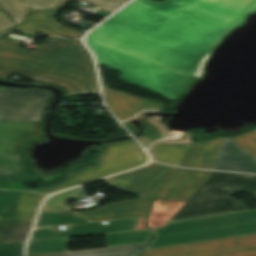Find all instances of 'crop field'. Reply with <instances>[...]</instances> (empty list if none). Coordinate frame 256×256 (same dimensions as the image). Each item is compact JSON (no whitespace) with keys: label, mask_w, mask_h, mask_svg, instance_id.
I'll list each match as a JSON object with an SVG mask.
<instances>
[{"label":"crop field","mask_w":256,"mask_h":256,"mask_svg":"<svg viewBox=\"0 0 256 256\" xmlns=\"http://www.w3.org/2000/svg\"><path fill=\"white\" fill-rule=\"evenodd\" d=\"M256 0H135L89 36L194 76L211 42Z\"/></svg>","instance_id":"crop-field-1"},{"label":"crop field","mask_w":256,"mask_h":256,"mask_svg":"<svg viewBox=\"0 0 256 256\" xmlns=\"http://www.w3.org/2000/svg\"><path fill=\"white\" fill-rule=\"evenodd\" d=\"M36 51L0 37V78L14 74L69 89V95L100 94L91 54L80 41L48 37Z\"/></svg>","instance_id":"crop-field-2"},{"label":"crop field","mask_w":256,"mask_h":256,"mask_svg":"<svg viewBox=\"0 0 256 256\" xmlns=\"http://www.w3.org/2000/svg\"><path fill=\"white\" fill-rule=\"evenodd\" d=\"M98 63L121 71L120 79L172 99L179 96L192 76L138 56L118 47L87 37Z\"/></svg>","instance_id":"crop-field-3"},{"label":"crop field","mask_w":256,"mask_h":256,"mask_svg":"<svg viewBox=\"0 0 256 256\" xmlns=\"http://www.w3.org/2000/svg\"><path fill=\"white\" fill-rule=\"evenodd\" d=\"M175 169L151 163L147 167L105 179L111 186L140 194L141 199L111 203L101 209L75 212V214L85 216L88 222L147 216L148 205L152 203L156 189Z\"/></svg>","instance_id":"crop-field-4"},{"label":"crop field","mask_w":256,"mask_h":256,"mask_svg":"<svg viewBox=\"0 0 256 256\" xmlns=\"http://www.w3.org/2000/svg\"><path fill=\"white\" fill-rule=\"evenodd\" d=\"M239 192L256 199V176L213 172L169 222L246 210L244 205L229 198Z\"/></svg>","instance_id":"crop-field-5"},{"label":"crop field","mask_w":256,"mask_h":256,"mask_svg":"<svg viewBox=\"0 0 256 256\" xmlns=\"http://www.w3.org/2000/svg\"><path fill=\"white\" fill-rule=\"evenodd\" d=\"M103 153L91 164L72 169L52 186L39 190L41 193H52L100 177H106L132 168L148 161V156L135 142L128 140L98 147Z\"/></svg>","instance_id":"crop-field-6"},{"label":"crop field","mask_w":256,"mask_h":256,"mask_svg":"<svg viewBox=\"0 0 256 256\" xmlns=\"http://www.w3.org/2000/svg\"><path fill=\"white\" fill-rule=\"evenodd\" d=\"M41 136L42 122L0 121V181L34 183L29 178L23 148Z\"/></svg>","instance_id":"crop-field-7"},{"label":"crop field","mask_w":256,"mask_h":256,"mask_svg":"<svg viewBox=\"0 0 256 256\" xmlns=\"http://www.w3.org/2000/svg\"><path fill=\"white\" fill-rule=\"evenodd\" d=\"M256 233V210L191 220V243Z\"/></svg>","instance_id":"crop-field-8"},{"label":"crop field","mask_w":256,"mask_h":256,"mask_svg":"<svg viewBox=\"0 0 256 256\" xmlns=\"http://www.w3.org/2000/svg\"><path fill=\"white\" fill-rule=\"evenodd\" d=\"M141 256H256V234L148 250Z\"/></svg>","instance_id":"crop-field-9"},{"label":"crop field","mask_w":256,"mask_h":256,"mask_svg":"<svg viewBox=\"0 0 256 256\" xmlns=\"http://www.w3.org/2000/svg\"><path fill=\"white\" fill-rule=\"evenodd\" d=\"M51 93L6 87L0 92V120L41 121Z\"/></svg>","instance_id":"crop-field-10"},{"label":"crop field","mask_w":256,"mask_h":256,"mask_svg":"<svg viewBox=\"0 0 256 256\" xmlns=\"http://www.w3.org/2000/svg\"><path fill=\"white\" fill-rule=\"evenodd\" d=\"M212 172L178 169L157 191L155 199L187 202Z\"/></svg>","instance_id":"crop-field-11"},{"label":"crop field","mask_w":256,"mask_h":256,"mask_svg":"<svg viewBox=\"0 0 256 256\" xmlns=\"http://www.w3.org/2000/svg\"><path fill=\"white\" fill-rule=\"evenodd\" d=\"M139 219L135 220H124V221H112L107 222L108 225L102 223L86 224V225H75L70 226L67 231L53 232L51 228L35 230L30 241L54 239L63 237H73L82 235L102 234L120 231L134 230Z\"/></svg>","instance_id":"crop-field-12"},{"label":"crop field","mask_w":256,"mask_h":256,"mask_svg":"<svg viewBox=\"0 0 256 256\" xmlns=\"http://www.w3.org/2000/svg\"><path fill=\"white\" fill-rule=\"evenodd\" d=\"M213 169L256 173V161L230 138H225Z\"/></svg>","instance_id":"crop-field-13"},{"label":"crop field","mask_w":256,"mask_h":256,"mask_svg":"<svg viewBox=\"0 0 256 256\" xmlns=\"http://www.w3.org/2000/svg\"><path fill=\"white\" fill-rule=\"evenodd\" d=\"M58 10L32 11L26 23L14 28L15 30L35 33L82 38L83 33L64 28L55 21Z\"/></svg>","instance_id":"crop-field-14"},{"label":"crop field","mask_w":256,"mask_h":256,"mask_svg":"<svg viewBox=\"0 0 256 256\" xmlns=\"http://www.w3.org/2000/svg\"><path fill=\"white\" fill-rule=\"evenodd\" d=\"M45 195L27 192L0 215V224L34 221Z\"/></svg>","instance_id":"crop-field-15"},{"label":"crop field","mask_w":256,"mask_h":256,"mask_svg":"<svg viewBox=\"0 0 256 256\" xmlns=\"http://www.w3.org/2000/svg\"><path fill=\"white\" fill-rule=\"evenodd\" d=\"M154 231L155 239L146 250L190 243V220L167 223L164 228Z\"/></svg>","instance_id":"crop-field-16"},{"label":"crop field","mask_w":256,"mask_h":256,"mask_svg":"<svg viewBox=\"0 0 256 256\" xmlns=\"http://www.w3.org/2000/svg\"><path fill=\"white\" fill-rule=\"evenodd\" d=\"M103 89L107 105L121 121L140 112L143 99L104 86Z\"/></svg>","instance_id":"crop-field-17"},{"label":"crop field","mask_w":256,"mask_h":256,"mask_svg":"<svg viewBox=\"0 0 256 256\" xmlns=\"http://www.w3.org/2000/svg\"><path fill=\"white\" fill-rule=\"evenodd\" d=\"M223 139L195 143L182 166L212 169Z\"/></svg>","instance_id":"crop-field-18"},{"label":"crop field","mask_w":256,"mask_h":256,"mask_svg":"<svg viewBox=\"0 0 256 256\" xmlns=\"http://www.w3.org/2000/svg\"><path fill=\"white\" fill-rule=\"evenodd\" d=\"M145 246L146 244H141L101 249L32 254L27 256H138Z\"/></svg>","instance_id":"crop-field-19"},{"label":"crop field","mask_w":256,"mask_h":256,"mask_svg":"<svg viewBox=\"0 0 256 256\" xmlns=\"http://www.w3.org/2000/svg\"><path fill=\"white\" fill-rule=\"evenodd\" d=\"M190 148L191 145L155 144L149 152L155 161L169 165H179Z\"/></svg>","instance_id":"crop-field-20"},{"label":"crop field","mask_w":256,"mask_h":256,"mask_svg":"<svg viewBox=\"0 0 256 256\" xmlns=\"http://www.w3.org/2000/svg\"><path fill=\"white\" fill-rule=\"evenodd\" d=\"M67 0H24L32 9L60 8ZM74 1V0H70ZM93 3L99 9L113 12L128 0H82Z\"/></svg>","instance_id":"crop-field-21"},{"label":"crop field","mask_w":256,"mask_h":256,"mask_svg":"<svg viewBox=\"0 0 256 256\" xmlns=\"http://www.w3.org/2000/svg\"><path fill=\"white\" fill-rule=\"evenodd\" d=\"M151 230L107 234V247L148 243Z\"/></svg>","instance_id":"crop-field-22"},{"label":"crop field","mask_w":256,"mask_h":256,"mask_svg":"<svg viewBox=\"0 0 256 256\" xmlns=\"http://www.w3.org/2000/svg\"><path fill=\"white\" fill-rule=\"evenodd\" d=\"M87 222L85 217H76L74 212L48 213L41 212L36 227Z\"/></svg>","instance_id":"crop-field-23"},{"label":"crop field","mask_w":256,"mask_h":256,"mask_svg":"<svg viewBox=\"0 0 256 256\" xmlns=\"http://www.w3.org/2000/svg\"><path fill=\"white\" fill-rule=\"evenodd\" d=\"M82 196L81 189L76 188L47 199L42 207V210L47 211H62L68 210L66 202Z\"/></svg>","instance_id":"crop-field-24"},{"label":"crop field","mask_w":256,"mask_h":256,"mask_svg":"<svg viewBox=\"0 0 256 256\" xmlns=\"http://www.w3.org/2000/svg\"><path fill=\"white\" fill-rule=\"evenodd\" d=\"M70 240L71 239H55L30 242L27 254L68 250L67 244Z\"/></svg>","instance_id":"crop-field-25"},{"label":"crop field","mask_w":256,"mask_h":256,"mask_svg":"<svg viewBox=\"0 0 256 256\" xmlns=\"http://www.w3.org/2000/svg\"><path fill=\"white\" fill-rule=\"evenodd\" d=\"M0 7L5 9L17 24L27 16L28 8L20 0H0Z\"/></svg>","instance_id":"crop-field-26"},{"label":"crop field","mask_w":256,"mask_h":256,"mask_svg":"<svg viewBox=\"0 0 256 256\" xmlns=\"http://www.w3.org/2000/svg\"><path fill=\"white\" fill-rule=\"evenodd\" d=\"M184 203L156 200L150 213L174 215Z\"/></svg>","instance_id":"crop-field-27"},{"label":"crop field","mask_w":256,"mask_h":256,"mask_svg":"<svg viewBox=\"0 0 256 256\" xmlns=\"http://www.w3.org/2000/svg\"><path fill=\"white\" fill-rule=\"evenodd\" d=\"M237 144L248 151L252 156L256 158V132H249L241 134L237 137L232 138Z\"/></svg>","instance_id":"crop-field-28"},{"label":"crop field","mask_w":256,"mask_h":256,"mask_svg":"<svg viewBox=\"0 0 256 256\" xmlns=\"http://www.w3.org/2000/svg\"><path fill=\"white\" fill-rule=\"evenodd\" d=\"M31 229L0 232V244L26 241Z\"/></svg>","instance_id":"crop-field-29"},{"label":"crop field","mask_w":256,"mask_h":256,"mask_svg":"<svg viewBox=\"0 0 256 256\" xmlns=\"http://www.w3.org/2000/svg\"><path fill=\"white\" fill-rule=\"evenodd\" d=\"M24 244H25V242L0 245V256L23 255L22 251L24 248Z\"/></svg>","instance_id":"crop-field-30"},{"label":"crop field","mask_w":256,"mask_h":256,"mask_svg":"<svg viewBox=\"0 0 256 256\" xmlns=\"http://www.w3.org/2000/svg\"><path fill=\"white\" fill-rule=\"evenodd\" d=\"M171 218L172 216L150 214L147 220V226L151 228L163 227Z\"/></svg>","instance_id":"crop-field-31"},{"label":"crop field","mask_w":256,"mask_h":256,"mask_svg":"<svg viewBox=\"0 0 256 256\" xmlns=\"http://www.w3.org/2000/svg\"><path fill=\"white\" fill-rule=\"evenodd\" d=\"M24 192L0 191V211L12 203Z\"/></svg>","instance_id":"crop-field-32"},{"label":"crop field","mask_w":256,"mask_h":256,"mask_svg":"<svg viewBox=\"0 0 256 256\" xmlns=\"http://www.w3.org/2000/svg\"><path fill=\"white\" fill-rule=\"evenodd\" d=\"M236 24V23H235ZM235 24H232L231 26H229L221 35L217 36L216 39L212 42L213 43V49L219 45L221 43V41L223 40V38L228 35L230 33V31L235 28L233 27ZM212 53V52H211ZM211 53L209 54L207 60L209 59ZM207 62V61H206ZM206 64V63H205ZM204 67L205 65L198 71V73L195 75V77H199L201 78L204 72Z\"/></svg>","instance_id":"crop-field-33"},{"label":"crop field","mask_w":256,"mask_h":256,"mask_svg":"<svg viewBox=\"0 0 256 256\" xmlns=\"http://www.w3.org/2000/svg\"><path fill=\"white\" fill-rule=\"evenodd\" d=\"M15 26L9 16L0 10V33Z\"/></svg>","instance_id":"crop-field-34"},{"label":"crop field","mask_w":256,"mask_h":256,"mask_svg":"<svg viewBox=\"0 0 256 256\" xmlns=\"http://www.w3.org/2000/svg\"><path fill=\"white\" fill-rule=\"evenodd\" d=\"M34 222L0 225V231L31 228Z\"/></svg>","instance_id":"crop-field-35"},{"label":"crop field","mask_w":256,"mask_h":256,"mask_svg":"<svg viewBox=\"0 0 256 256\" xmlns=\"http://www.w3.org/2000/svg\"><path fill=\"white\" fill-rule=\"evenodd\" d=\"M0 188L4 189H20V190H28L30 188L24 187L23 184L21 183H5V182H0Z\"/></svg>","instance_id":"crop-field-36"},{"label":"crop field","mask_w":256,"mask_h":256,"mask_svg":"<svg viewBox=\"0 0 256 256\" xmlns=\"http://www.w3.org/2000/svg\"><path fill=\"white\" fill-rule=\"evenodd\" d=\"M145 219H146V217L141 218L136 230L148 229V227L144 226Z\"/></svg>","instance_id":"crop-field-37"},{"label":"crop field","mask_w":256,"mask_h":256,"mask_svg":"<svg viewBox=\"0 0 256 256\" xmlns=\"http://www.w3.org/2000/svg\"><path fill=\"white\" fill-rule=\"evenodd\" d=\"M256 10V3L254 5H252L247 11H245L246 13L250 14L253 13Z\"/></svg>","instance_id":"crop-field-38"},{"label":"crop field","mask_w":256,"mask_h":256,"mask_svg":"<svg viewBox=\"0 0 256 256\" xmlns=\"http://www.w3.org/2000/svg\"><path fill=\"white\" fill-rule=\"evenodd\" d=\"M129 219H135V218H129ZM121 220H124V219H121ZM93 223H96V222H93ZM85 224V223H84ZM75 225V224H74Z\"/></svg>","instance_id":"crop-field-39"},{"label":"crop field","mask_w":256,"mask_h":256,"mask_svg":"<svg viewBox=\"0 0 256 256\" xmlns=\"http://www.w3.org/2000/svg\"><path fill=\"white\" fill-rule=\"evenodd\" d=\"M256 131V130H255Z\"/></svg>","instance_id":"crop-field-40"},{"label":"crop field","mask_w":256,"mask_h":256,"mask_svg":"<svg viewBox=\"0 0 256 256\" xmlns=\"http://www.w3.org/2000/svg\"><path fill=\"white\" fill-rule=\"evenodd\" d=\"M256 201V200H255Z\"/></svg>","instance_id":"crop-field-41"}]
</instances>
